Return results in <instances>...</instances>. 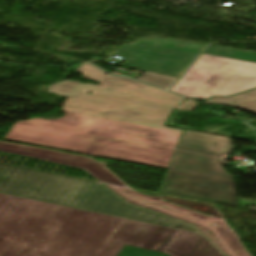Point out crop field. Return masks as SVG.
<instances>
[{"label": "crop field", "instance_id": "5a996713", "mask_svg": "<svg viewBox=\"0 0 256 256\" xmlns=\"http://www.w3.org/2000/svg\"><path fill=\"white\" fill-rule=\"evenodd\" d=\"M204 104L230 105L256 114V89L232 97H215Z\"/></svg>", "mask_w": 256, "mask_h": 256}, {"label": "crop field", "instance_id": "22f410ed", "mask_svg": "<svg viewBox=\"0 0 256 256\" xmlns=\"http://www.w3.org/2000/svg\"><path fill=\"white\" fill-rule=\"evenodd\" d=\"M101 138L106 139V138H104V137H101Z\"/></svg>", "mask_w": 256, "mask_h": 256}, {"label": "crop field", "instance_id": "dd49c442", "mask_svg": "<svg viewBox=\"0 0 256 256\" xmlns=\"http://www.w3.org/2000/svg\"><path fill=\"white\" fill-rule=\"evenodd\" d=\"M205 45L171 39H139L116 55L128 68L177 78Z\"/></svg>", "mask_w": 256, "mask_h": 256}, {"label": "crop field", "instance_id": "ac0d7876", "mask_svg": "<svg viewBox=\"0 0 256 256\" xmlns=\"http://www.w3.org/2000/svg\"><path fill=\"white\" fill-rule=\"evenodd\" d=\"M0 256L222 255L197 233L0 193Z\"/></svg>", "mask_w": 256, "mask_h": 256}, {"label": "crop field", "instance_id": "e52e79f7", "mask_svg": "<svg viewBox=\"0 0 256 256\" xmlns=\"http://www.w3.org/2000/svg\"><path fill=\"white\" fill-rule=\"evenodd\" d=\"M108 187L128 202L166 213L194 224L228 256H249L240 246L231 230L219 221L145 197L129 189Z\"/></svg>", "mask_w": 256, "mask_h": 256}, {"label": "crop field", "instance_id": "28ad6ade", "mask_svg": "<svg viewBox=\"0 0 256 256\" xmlns=\"http://www.w3.org/2000/svg\"><path fill=\"white\" fill-rule=\"evenodd\" d=\"M137 80L150 83L159 87H163L165 89L169 88L170 85L174 82V78H169L165 76L155 75L151 73L143 72Z\"/></svg>", "mask_w": 256, "mask_h": 256}, {"label": "crop field", "instance_id": "8a807250", "mask_svg": "<svg viewBox=\"0 0 256 256\" xmlns=\"http://www.w3.org/2000/svg\"><path fill=\"white\" fill-rule=\"evenodd\" d=\"M76 72L101 83L65 80L50 85L48 93L68 97L60 110L66 116L16 122L3 139L166 168L182 131L163 124L184 99L131 79L107 76L86 63ZM197 106L187 100L177 109L192 111Z\"/></svg>", "mask_w": 256, "mask_h": 256}, {"label": "crop field", "instance_id": "34b2d1b8", "mask_svg": "<svg viewBox=\"0 0 256 256\" xmlns=\"http://www.w3.org/2000/svg\"><path fill=\"white\" fill-rule=\"evenodd\" d=\"M0 192L197 232L192 226L171 217L167 218L165 215L127 203L95 181L0 164Z\"/></svg>", "mask_w": 256, "mask_h": 256}, {"label": "crop field", "instance_id": "d8731c3e", "mask_svg": "<svg viewBox=\"0 0 256 256\" xmlns=\"http://www.w3.org/2000/svg\"><path fill=\"white\" fill-rule=\"evenodd\" d=\"M0 151L78 167L85 170L87 173L100 181L124 186V184L113 176L108 170L92 159L3 142H0Z\"/></svg>", "mask_w": 256, "mask_h": 256}, {"label": "crop field", "instance_id": "3316defc", "mask_svg": "<svg viewBox=\"0 0 256 256\" xmlns=\"http://www.w3.org/2000/svg\"><path fill=\"white\" fill-rule=\"evenodd\" d=\"M203 53L221 56V57L256 62V53H250V52H246V51H238L236 49H231V48H221V47H216V46H209Z\"/></svg>", "mask_w": 256, "mask_h": 256}, {"label": "crop field", "instance_id": "f4fd0767", "mask_svg": "<svg viewBox=\"0 0 256 256\" xmlns=\"http://www.w3.org/2000/svg\"><path fill=\"white\" fill-rule=\"evenodd\" d=\"M255 87L256 63L202 54L170 91L192 99H208Z\"/></svg>", "mask_w": 256, "mask_h": 256}, {"label": "crop field", "instance_id": "d1516ede", "mask_svg": "<svg viewBox=\"0 0 256 256\" xmlns=\"http://www.w3.org/2000/svg\"><path fill=\"white\" fill-rule=\"evenodd\" d=\"M41 149V148H40ZM46 150V149H45ZM52 151V150H51ZM57 152V151H56ZM63 153V152H62ZM67 154H69V153H67ZM74 155V154H73ZM80 156V155H79Z\"/></svg>", "mask_w": 256, "mask_h": 256}, {"label": "crop field", "instance_id": "412701ff", "mask_svg": "<svg viewBox=\"0 0 256 256\" xmlns=\"http://www.w3.org/2000/svg\"><path fill=\"white\" fill-rule=\"evenodd\" d=\"M233 150L230 138L185 131L160 192L237 206L232 175L217 159Z\"/></svg>", "mask_w": 256, "mask_h": 256}]
</instances>
